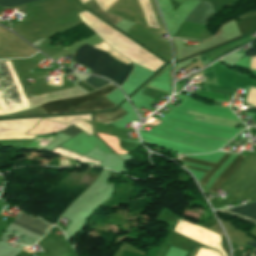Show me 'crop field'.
<instances>
[{
  "label": "crop field",
  "mask_w": 256,
  "mask_h": 256,
  "mask_svg": "<svg viewBox=\"0 0 256 256\" xmlns=\"http://www.w3.org/2000/svg\"><path fill=\"white\" fill-rule=\"evenodd\" d=\"M80 131V129L74 127V126H69L68 128H66L65 130L62 131V133H65L67 135H70V136H75L76 134H78Z\"/></svg>",
  "instance_id": "crop-field-17"
},
{
  "label": "crop field",
  "mask_w": 256,
  "mask_h": 256,
  "mask_svg": "<svg viewBox=\"0 0 256 256\" xmlns=\"http://www.w3.org/2000/svg\"><path fill=\"white\" fill-rule=\"evenodd\" d=\"M5 79H0V92L7 105L27 100L8 60H0ZM0 94V115L30 109L28 101L6 106Z\"/></svg>",
  "instance_id": "crop-field-3"
},
{
  "label": "crop field",
  "mask_w": 256,
  "mask_h": 256,
  "mask_svg": "<svg viewBox=\"0 0 256 256\" xmlns=\"http://www.w3.org/2000/svg\"><path fill=\"white\" fill-rule=\"evenodd\" d=\"M84 81L87 82L89 85L93 86L96 89L109 84L108 82H106V81H104L102 79L95 78V77H92V76L88 77Z\"/></svg>",
  "instance_id": "crop-field-14"
},
{
  "label": "crop field",
  "mask_w": 256,
  "mask_h": 256,
  "mask_svg": "<svg viewBox=\"0 0 256 256\" xmlns=\"http://www.w3.org/2000/svg\"><path fill=\"white\" fill-rule=\"evenodd\" d=\"M76 85L80 86L81 88H83L84 90H86L88 92L95 90L81 81H79Z\"/></svg>",
  "instance_id": "crop-field-18"
},
{
  "label": "crop field",
  "mask_w": 256,
  "mask_h": 256,
  "mask_svg": "<svg viewBox=\"0 0 256 256\" xmlns=\"http://www.w3.org/2000/svg\"><path fill=\"white\" fill-rule=\"evenodd\" d=\"M241 256H256V249L254 250V252L251 255L242 252Z\"/></svg>",
  "instance_id": "crop-field-19"
},
{
  "label": "crop field",
  "mask_w": 256,
  "mask_h": 256,
  "mask_svg": "<svg viewBox=\"0 0 256 256\" xmlns=\"http://www.w3.org/2000/svg\"><path fill=\"white\" fill-rule=\"evenodd\" d=\"M197 256H220V255L217 252H215V251H213L211 249L200 248Z\"/></svg>",
  "instance_id": "crop-field-16"
},
{
  "label": "crop field",
  "mask_w": 256,
  "mask_h": 256,
  "mask_svg": "<svg viewBox=\"0 0 256 256\" xmlns=\"http://www.w3.org/2000/svg\"><path fill=\"white\" fill-rule=\"evenodd\" d=\"M94 47L101 49L107 53H109L110 55H112L114 58L128 64L130 63V61H128L127 59L123 58L122 56H120L118 53H116L113 49H111L108 45H106L104 42H101L97 45H95Z\"/></svg>",
  "instance_id": "crop-field-13"
},
{
  "label": "crop field",
  "mask_w": 256,
  "mask_h": 256,
  "mask_svg": "<svg viewBox=\"0 0 256 256\" xmlns=\"http://www.w3.org/2000/svg\"><path fill=\"white\" fill-rule=\"evenodd\" d=\"M144 17L149 27L159 28L153 14V10L149 0H139Z\"/></svg>",
  "instance_id": "crop-field-12"
},
{
  "label": "crop field",
  "mask_w": 256,
  "mask_h": 256,
  "mask_svg": "<svg viewBox=\"0 0 256 256\" xmlns=\"http://www.w3.org/2000/svg\"><path fill=\"white\" fill-rule=\"evenodd\" d=\"M31 1H35V0H0V5L7 8L10 6L31 2Z\"/></svg>",
  "instance_id": "crop-field-15"
},
{
  "label": "crop field",
  "mask_w": 256,
  "mask_h": 256,
  "mask_svg": "<svg viewBox=\"0 0 256 256\" xmlns=\"http://www.w3.org/2000/svg\"><path fill=\"white\" fill-rule=\"evenodd\" d=\"M176 233L190 238L196 242L206 245L210 248L217 249L225 256L224 251L220 247L221 237L215 235L201 227L195 226L187 221L180 219L175 231Z\"/></svg>",
  "instance_id": "crop-field-4"
},
{
  "label": "crop field",
  "mask_w": 256,
  "mask_h": 256,
  "mask_svg": "<svg viewBox=\"0 0 256 256\" xmlns=\"http://www.w3.org/2000/svg\"><path fill=\"white\" fill-rule=\"evenodd\" d=\"M112 84L87 95L55 100L40 105L45 114L112 109L116 105L104 96L115 90Z\"/></svg>",
  "instance_id": "crop-field-2"
},
{
  "label": "crop field",
  "mask_w": 256,
  "mask_h": 256,
  "mask_svg": "<svg viewBox=\"0 0 256 256\" xmlns=\"http://www.w3.org/2000/svg\"><path fill=\"white\" fill-rule=\"evenodd\" d=\"M86 7L97 13L99 16L110 22L111 24H116L117 22L121 21L123 18H120L118 16L112 15L110 13H107L103 11L101 8H99L94 0H91L85 4Z\"/></svg>",
  "instance_id": "crop-field-11"
},
{
  "label": "crop field",
  "mask_w": 256,
  "mask_h": 256,
  "mask_svg": "<svg viewBox=\"0 0 256 256\" xmlns=\"http://www.w3.org/2000/svg\"><path fill=\"white\" fill-rule=\"evenodd\" d=\"M230 157V154L225 153V155L220 159V161L217 164L214 163H209V162H204V161H199V160H195V159H190V158H185L182 157L179 160L183 161V162H188V163H193V164H199V165H204V166H209L212 167L210 171L207 170H203V169H199V168H195V167H191L188 165H184L185 167L188 168H192V169H196V170H200V171H204L206 172L203 179L199 182L202 185H206V183L208 182V180L210 179V177L219 169V167Z\"/></svg>",
  "instance_id": "crop-field-7"
},
{
  "label": "crop field",
  "mask_w": 256,
  "mask_h": 256,
  "mask_svg": "<svg viewBox=\"0 0 256 256\" xmlns=\"http://www.w3.org/2000/svg\"><path fill=\"white\" fill-rule=\"evenodd\" d=\"M243 159V156L238 155L232 162L231 164L226 168V170L220 174L216 181L214 182V184L211 186V188L209 189V192L213 195L216 190L220 187V185L227 180L230 175L235 171V169L239 166V164L241 163Z\"/></svg>",
  "instance_id": "crop-field-9"
},
{
  "label": "crop field",
  "mask_w": 256,
  "mask_h": 256,
  "mask_svg": "<svg viewBox=\"0 0 256 256\" xmlns=\"http://www.w3.org/2000/svg\"><path fill=\"white\" fill-rule=\"evenodd\" d=\"M13 224L20 226L24 229H27L40 236L44 235L50 228V225L40 220H37L31 216H28L22 212H20V214L14 220Z\"/></svg>",
  "instance_id": "crop-field-5"
},
{
  "label": "crop field",
  "mask_w": 256,
  "mask_h": 256,
  "mask_svg": "<svg viewBox=\"0 0 256 256\" xmlns=\"http://www.w3.org/2000/svg\"><path fill=\"white\" fill-rule=\"evenodd\" d=\"M127 113L120 107L110 113L94 114V120L99 123L107 124L121 119Z\"/></svg>",
  "instance_id": "crop-field-10"
},
{
  "label": "crop field",
  "mask_w": 256,
  "mask_h": 256,
  "mask_svg": "<svg viewBox=\"0 0 256 256\" xmlns=\"http://www.w3.org/2000/svg\"><path fill=\"white\" fill-rule=\"evenodd\" d=\"M223 211L256 223V202Z\"/></svg>",
  "instance_id": "crop-field-8"
},
{
  "label": "crop field",
  "mask_w": 256,
  "mask_h": 256,
  "mask_svg": "<svg viewBox=\"0 0 256 256\" xmlns=\"http://www.w3.org/2000/svg\"><path fill=\"white\" fill-rule=\"evenodd\" d=\"M246 244H248L250 246H253V247H256V241L248 242Z\"/></svg>",
  "instance_id": "crop-field-20"
},
{
  "label": "crop field",
  "mask_w": 256,
  "mask_h": 256,
  "mask_svg": "<svg viewBox=\"0 0 256 256\" xmlns=\"http://www.w3.org/2000/svg\"><path fill=\"white\" fill-rule=\"evenodd\" d=\"M213 12L212 4L201 0L188 15L186 21L205 25L206 21L211 18Z\"/></svg>",
  "instance_id": "crop-field-6"
},
{
  "label": "crop field",
  "mask_w": 256,
  "mask_h": 256,
  "mask_svg": "<svg viewBox=\"0 0 256 256\" xmlns=\"http://www.w3.org/2000/svg\"><path fill=\"white\" fill-rule=\"evenodd\" d=\"M89 69L91 73L107 77L122 84L133 69L132 63L125 65L109 54L84 44L75 53L73 60Z\"/></svg>",
  "instance_id": "crop-field-1"
}]
</instances>
